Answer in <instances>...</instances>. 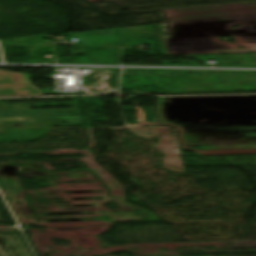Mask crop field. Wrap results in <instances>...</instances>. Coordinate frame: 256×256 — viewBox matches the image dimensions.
<instances>
[{"mask_svg":"<svg viewBox=\"0 0 256 256\" xmlns=\"http://www.w3.org/2000/svg\"><path fill=\"white\" fill-rule=\"evenodd\" d=\"M31 77L34 76L0 70V96L53 94V90L36 88L31 84Z\"/></svg>","mask_w":256,"mask_h":256,"instance_id":"obj_1","label":"crop field"}]
</instances>
